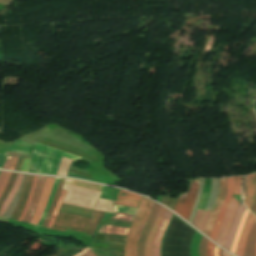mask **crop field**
<instances>
[{
	"mask_svg": "<svg viewBox=\"0 0 256 256\" xmlns=\"http://www.w3.org/2000/svg\"><path fill=\"white\" fill-rule=\"evenodd\" d=\"M62 156L73 160L80 158L48 146L37 144L27 172L55 175Z\"/></svg>",
	"mask_w": 256,
	"mask_h": 256,
	"instance_id": "crop-field-1",
	"label": "crop field"
},
{
	"mask_svg": "<svg viewBox=\"0 0 256 256\" xmlns=\"http://www.w3.org/2000/svg\"><path fill=\"white\" fill-rule=\"evenodd\" d=\"M153 203L154 202L144 197L142 198L141 204L136 213L135 219L131 225V228L126 240L124 256H137L139 236L149 216Z\"/></svg>",
	"mask_w": 256,
	"mask_h": 256,
	"instance_id": "crop-field-2",
	"label": "crop field"
},
{
	"mask_svg": "<svg viewBox=\"0 0 256 256\" xmlns=\"http://www.w3.org/2000/svg\"><path fill=\"white\" fill-rule=\"evenodd\" d=\"M199 179L196 181H189L188 192L181 193L178 201L173 209L177 214L189 220L190 213L193 209V203L197 193Z\"/></svg>",
	"mask_w": 256,
	"mask_h": 256,
	"instance_id": "crop-field-3",
	"label": "crop field"
},
{
	"mask_svg": "<svg viewBox=\"0 0 256 256\" xmlns=\"http://www.w3.org/2000/svg\"><path fill=\"white\" fill-rule=\"evenodd\" d=\"M89 221L90 220L88 219L58 212V215L52 226V229L61 230V231H64L65 229H69V230L85 232L89 224Z\"/></svg>",
	"mask_w": 256,
	"mask_h": 256,
	"instance_id": "crop-field-4",
	"label": "crop field"
},
{
	"mask_svg": "<svg viewBox=\"0 0 256 256\" xmlns=\"http://www.w3.org/2000/svg\"><path fill=\"white\" fill-rule=\"evenodd\" d=\"M240 200L241 199H240L239 195H233V197H232V199L229 203V206H228V209H227V212H226V215H225L220 233H219V235H218V237L215 241L221 246H224V243L226 241V238H227V235H228V232H229L231 222H232V220H233V218L236 214V210H237V207H238V204H239Z\"/></svg>",
	"mask_w": 256,
	"mask_h": 256,
	"instance_id": "crop-field-5",
	"label": "crop field"
},
{
	"mask_svg": "<svg viewBox=\"0 0 256 256\" xmlns=\"http://www.w3.org/2000/svg\"><path fill=\"white\" fill-rule=\"evenodd\" d=\"M225 193H226V178H220L219 179V193L218 196L216 198V201L214 203V207H213V211L212 214L210 216L209 222L206 226V229L204 231L205 234H207L208 236H210L212 228L214 226L215 223V219L217 217V214L219 212L220 206L224 200L225 197Z\"/></svg>",
	"mask_w": 256,
	"mask_h": 256,
	"instance_id": "crop-field-6",
	"label": "crop field"
},
{
	"mask_svg": "<svg viewBox=\"0 0 256 256\" xmlns=\"http://www.w3.org/2000/svg\"><path fill=\"white\" fill-rule=\"evenodd\" d=\"M54 179L55 178L47 177L46 183H45L42 195H41V198L39 200V203H38V206H37V209H36V213H35L34 217L32 218V220L30 221L31 224L37 225V223L39 222L40 217H41V215H42V213H43V211L46 207V203H47V200L49 198L51 189L53 187Z\"/></svg>",
	"mask_w": 256,
	"mask_h": 256,
	"instance_id": "crop-field-7",
	"label": "crop field"
},
{
	"mask_svg": "<svg viewBox=\"0 0 256 256\" xmlns=\"http://www.w3.org/2000/svg\"><path fill=\"white\" fill-rule=\"evenodd\" d=\"M232 195H233V177H230V178H227V195H226V198L223 202V205L221 207V210L219 212V215H218L216 223H215V227H214V229L212 231V234L210 236V238L213 239L214 241H215V239L218 235L219 228H220L221 223L223 221L225 211L227 209L228 203H229Z\"/></svg>",
	"mask_w": 256,
	"mask_h": 256,
	"instance_id": "crop-field-8",
	"label": "crop field"
},
{
	"mask_svg": "<svg viewBox=\"0 0 256 256\" xmlns=\"http://www.w3.org/2000/svg\"><path fill=\"white\" fill-rule=\"evenodd\" d=\"M173 213H171L170 211H167L156 235H155V238L153 240V256H160V242H161V239H162V236L165 232V229L167 227V224L171 218Z\"/></svg>",
	"mask_w": 256,
	"mask_h": 256,
	"instance_id": "crop-field-9",
	"label": "crop field"
},
{
	"mask_svg": "<svg viewBox=\"0 0 256 256\" xmlns=\"http://www.w3.org/2000/svg\"><path fill=\"white\" fill-rule=\"evenodd\" d=\"M159 205L154 204L152 212L150 214L149 220L140 236L139 240V247H138V256H144V243L147 237V234L156 218L157 212H158Z\"/></svg>",
	"mask_w": 256,
	"mask_h": 256,
	"instance_id": "crop-field-10",
	"label": "crop field"
},
{
	"mask_svg": "<svg viewBox=\"0 0 256 256\" xmlns=\"http://www.w3.org/2000/svg\"><path fill=\"white\" fill-rule=\"evenodd\" d=\"M166 211L167 210L162 208V207L159 208L157 218H156V220L154 222V225H153V227H152V229H151V231H150V233L147 237V241H146V244H145V256H152L151 255L152 240L154 238V235H155V233H156V231H157V229H158Z\"/></svg>",
	"mask_w": 256,
	"mask_h": 256,
	"instance_id": "crop-field-11",
	"label": "crop field"
},
{
	"mask_svg": "<svg viewBox=\"0 0 256 256\" xmlns=\"http://www.w3.org/2000/svg\"><path fill=\"white\" fill-rule=\"evenodd\" d=\"M245 208L246 207L242 204V201H241V203H240V205L238 207V211H237L236 217H235V219H234V221H233V223L231 225L227 241H226L225 246H224V248H226L227 250H230V248H231V245H232V242L234 240V237H235V234H236V231H237V228H238L241 216H242Z\"/></svg>",
	"mask_w": 256,
	"mask_h": 256,
	"instance_id": "crop-field-12",
	"label": "crop field"
},
{
	"mask_svg": "<svg viewBox=\"0 0 256 256\" xmlns=\"http://www.w3.org/2000/svg\"><path fill=\"white\" fill-rule=\"evenodd\" d=\"M255 219L256 218L251 213H249L239 239V243L235 253L236 255L243 256L246 237Z\"/></svg>",
	"mask_w": 256,
	"mask_h": 256,
	"instance_id": "crop-field-13",
	"label": "crop field"
},
{
	"mask_svg": "<svg viewBox=\"0 0 256 256\" xmlns=\"http://www.w3.org/2000/svg\"><path fill=\"white\" fill-rule=\"evenodd\" d=\"M45 179H46V177H41V176L39 177V180H38V183H37V186H36V190H35V194H34V197H33L32 205L30 207V210H29L28 214L23 219V222L29 223L31 217L34 215L39 197L41 195V192H42V189H43V186H44V183H45Z\"/></svg>",
	"mask_w": 256,
	"mask_h": 256,
	"instance_id": "crop-field-14",
	"label": "crop field"
},
{
	"mask_svg": "<svg viewBox=\"0 0 256 256\" xmlns=\"http://www.w3.org/2000/svg\"><path fill=\"white\" fill-rule=\"evenodd\" d=\"M256 196V178L255 175L247 176V193L244 200L245 205L250 209Z\"/></svg>",
	"mask_w": 256,
	"mask_h": 256,
	"instance_id": "crop-field-15",
	"label": "crop field"
},
{
	"mask_svg": "<svg viewBox=\"0 0 256 256\" xmlns=\"http://www.w3.org/2000/svg\"><path fill=\"white\" fill-rule=\"evenodd\" d=\"M255 246H256V220L247 237L244 256H255Z\"/></svg>",
	"mask_w": 256,
	"mask_h": 256,
	"instance_id": "crop-field-16",
	"label": "crop field"
},
{
	"mask_svg": "<svg viewBox=\"0 0 256 256\" xmlns=\"http://www.w3.org/2000/svg\"><path fill=\"white\" fill-rule=\"evenodd\" d=\"M24 175H21V174H18L17 175V178H16V181H15V184H14V187L13 189L11 190L8 198L6 199V201L4 202V204L2 205L1 209H0V216H3L8 205L10 204L13 196L15 195L17 189L19 188L20 184H21V180L23 178Z\"/></svg>",
	"mask_w": 256,
	"mask_h": 256,
	"instance_id": "crop-field-17",
	"label": "crop field"
},
{
	"mask_svg": "<svg viewBox=\"0 0 256 256\" xmlns=\"http://www.w3.org/2000/svg\"><path fill=\"white\" fill-rule=\"evenodd\" d=\"M129 229L120 228V227H112L102 225L98 231V233H111V234H123L126 235Z\"/></svg>",
	"mask_w": 256,
	"mask_h": 256,
	"instance_id": "crop-field-18",
	"label": "crop field"
},
{
	"mask_svg": "<svg viewBox=\"0 0 256 256\" xmlns=\"http://www.w3.org/2000/svg\"><path fill=\"white\" fill-rule=\"evenodd\" d=\"M104 214L105 213H103V212H99V211L94 210V215H93L91 224H90L88 230L86 231L87 234L93 235L97 225L99 224V222L103 218Z\"/></svg>",
	"mask_w": 256,
	"mask_h": 256,
	"instance_id": "crop-field-19",
	"label": "crop field"
},
{
	"mask_svg": "<svg viewBox=\"0 0 256 256\" xmlns=\"http://www.w3.org/2000/svg\"><path fill=\"white\" fill-rule=\"evenodd\" d=\"M62 182H63V179L61 178L60 179V181H59V184H58V187H57V189H56V193H55V197H54V199H53V202H52V204H51V207H50V209H49V211H48V214H47V216H46V219H45V221H44V223H43V227H46V225H47V223H48V221H49V219H50V216H51V214H52V212H53V209H54V207H55V205H56V203H57V200H58V197H59V194H60V188H61V186H62Z\"/></svg>",
	"mask_w": 256,
	"mask_h": 256,
	"instance_id": "crop-field-20",
	"label": "crop field"
},
{
	"mask_svg": "<svg viewBox=\"0 0 256 256\" xmlns=\"http://www.w3.org/2000/svg\"><path fill=\"white\" fill-rule=\"evenodd\" d=\"M33 177L34 176H30L29 178V181H28V185H27V188L25 190V193H24V197H23V201H22V205L18 211V213L16 214V216L14 217L15 220H17V218L19 217V215L21 214L25 204H26V201H27V197H28V194H29V191H30V188H31V185H32V182H33Z\"/></svg>",
	"mask_w": 256,
	"mask_h": 256,
	"instance_id": "crop-field-21",
	"label": "crop field"
},
{
	"mask_svg": "<svg viewBox=\"0 0 256 256\" xmlns=\"http://www.w3.org/2000/svg\"><path fill=\"white\" fill-rule=\"evenodd\" d=\"M38 177H39V176H35V177H34L33 186H32V189H31V192H30V195H29V198H28L26 207H25V209L23 210V212H22V214H21V216H20V218H19L18 221H22V219L24 218V216H25L26 213L28 212V209H29L30 204H31V201H32V197H33V193H34V189H35V186H36Z\"/></svg>",
	"mask_w": 256,
	"mask_h": 256,
	"instance_id": "crop-field-22",
	"label": "crop field"
},
{
	"mask_svg": "<svg viewBox=\"0 0 256 256\" xmlns=\"http://www.w3.org/2000/svg\"><path fill=\"white\" fill-rule=\"evenodd\" d=\"M248 213H249V211L246 209V211H245V213H244V215H243V217H242V219H241V222H240V225H239V228H238V231H237V234H236V237H235L233 246H232V248H231V250H230V252H232V253H235V249H236V246H237L238 238H239V236H240L242 227H243V225H244V222H245V219H246Z\"/></svg>",
	"mask_w": 256,
	"mask_h": 256,
	"instance_id": "crop-field-23",
	"label": "crop field"
},
{
	"mask_svg": "<svg viewBox=\"0 0 256 256\" xmlns=\"http://www.w3.org/2000/svg\"><path fill=\"white\" fill-rule=\"evenodd\" d=\"M65 192H66V191H64V190L61 191V194H60L58 203H57V205H56V207H55V209H54L53 215H52V217H51V219H50V221H49V223H48V225H47L48 228H51V226H52V223H53L54 218H55V216H56V214H57V212H58V210H59V208H60V204H61V201H62L64 195H65Z\"/></svg>",
	"mask_w": 256,
	"mask_h": 256,
	"instance_id": "crop-field-24",
	"label": "crop field"
},
{
	"mask_svg": "<svg viewBox=\"0 0 256 256\" xmlns=\"http://www.w3.org/2000/svg\"><path fill=\"white\" fill-rule=\"evenodd\" d=\"M137 195V194H136ZM124 191H120L118 194V199H127V200H135V201H140L141 197L140 196H136Z\"/></svg>",
	"mask_w": 256,
	"mask_h": 256,
	"instance_id": "crop-field-25",
	"label": "crop field"
},
{
	"mask_svg": "<svg viewBox=\"0 0 256 256\" xmlns=\"http://www.w3.org/2000/svg\"><path fill=\"white\" fill-rule=\"evenodd\" d=\"M16 175H17V174H15V173L12 174V176H11V178H10L8 184H7V187H6V189H5V191H4L3 195H2V197H1V199H0V207H1V205H2V203H3V201H4V199H5V197H6L7 194L9 193V191H10V189H11V187H12V184H13L15 178H16Z\"/></svg>",
	"mask_w": 256,
	"mask_h": 256,
	"instance_id": "crop-field-26",
	"label": "crop field"
},
{
	"mask_svg": "<svg viewBox=\"0 0 256 256\" xmlns=\"http://www.w3.org/2000/svg\"><path fill=\"white\" fill-rule=\"evenodd\" d=\"M201 237L202 235H200L199 233H196L193 240V245H192V256H198V245Z\"/></svg>",
	"mask_w": 256,
	"mask_h": 256,
	"instance_id": "crop-field-27",
	"label": "crop field"
},
{
	"mask_svg": "<svg viewBox=\"0 0 256 256\" xmlns=\"http://www.w3.org/2000/svg\"><path fill=\"white\" fill-rule=\"evenodd\" d=\"M58 180H59V178H56L55 184H54V187H53L51 196H50V199H49V201H48V203H47V208H46V210H45V212H44V214H43V216H42V218H41V220H40V222H39V224H38L39 227L41 226V224H42V222H43V220H44V218H45V216H46V214H47V211H48V209H49V207H50V204H51V201H52V198H53V195H54L56 186H57V184H58Z\"/></svg>",
	"mask_w": 256,
	"mask_h": 256,
	"instance_id": "crop-field-28",
	"label": "crop field"
},
{
	"mask_svg": "<svg viewBox=\"0 0 256 256\" xmlns=\"http://www.w3.org/2000/svg\"><path fill=\"white\" fill-rule=\"evenodd\" d=\"M23 180H24V178H23ZM22 183H23V181H22ZM21 186H22V184H21ZM21 186H20V188H19V190H18V192H17L15 198H14L13 201L11 202V204H10V206H9V208H8V210H7V212H6V214H5V217H8V218H9L10 215L12 214V212H13V210H14V208H15V205H16V203H17L18 197H19V193H20Z\"/></svg>",
	"mask_w": 256,
	"mask_h": 256,
	"instance_id": "crop-field-29",
	"label": "crop field"
},
{
	"mask_svg": "<svg viewBox=\"0 0 256 256\" xmlns=\"http://www.w3.org/2000/svg\"><path fill=\"white\" fill-rule=\"evenodd\" d=\"M114 207H115V211H117V212L131 214V215H134L137 210L134 208H128V207H122V206H116V205H114Z\"/></svg>",
	"mask_w": 256,
	"mask_h": 256,
	"instance_id": "crop-field-30",
	"label": "crop field"
},
{
	"mask_svg": "<svg viewBox=\"0 0 256 256\" xmlns=\"http://www.w3.org/2000/svg\"><path fill=\"white\" fill-rule=\"evenodd\" d=\"M28 176L29 175H26L25 177V180H24V183H23V187H22V190H21V194H20V198H19V201H18V205L13 213V215L11 216V219H13L14 215L16 214V212L18 211L20 205H21V201H22V197H23V193H24V190H25V187L27 185V181H28Z\"/></svg>",
	"mask_w": 256,
	"mask_h": 256,
	"instance_id": "crop-field-31",
	"label": "crop field"
},
{
	"mask_svg": "<svg viewBox=\"0 0 256 256\" xmlns=\"http://www.w3.org/2000/svg\"><path fill=\"white\" fill-rule=\"evenodd\" d=\"M210 212H211V211H208V210H205V211H204V214H203L201 223H200V225H199V227H198V229H200L201 231H204V229H205V226H206L207 221H208V219H209Z\"/></svg>",
	"mask_w": 256,
	"mask_h": 256,
	"instance_id": "crop-field-32",
	"label": "crop field"
},
{
	"mask_svg": "<svg viewBox=\"0 0 256 256\" xmlns=\"http://www.w3.org/2000/svg\"><path fill=\"white\" fill-rule=\"evenodd\" d=\"M114 204H117V205H124V206H130V207H135V208H137L139 202L121 200V201H114Z\"/></svg>",
	"mask_w": 256,
	"mask_h": 256,
	"instance_id": "crop-field-33",
	"label": "crop field"
},
{
	"mask_svg": "<svg viewBox=\"0 0 256 256\" xmlns=\"http://www.w3.org/2000/svg\"><path fill=\"white\" fill-rule=\"evenodd\" d=\"M6 155L17 156V157H22V158H30L31 157V156H28V155H22V154L10 153V152H7ZM22 158L19 159V161H18V163H17V165H16L14 170H16V171L19 170L20 165H21V163L23 161Z\"/></svg>",
	"mask_w": 256,
	"mask_h": 256,
	"instance_id": "crop-field-34",
	"label": "crop field"
},
{
	"mask_svg": "<svg viewBox=\"0 0 256 256\" xmlns=\"http://www.w3.org/2000/svg\"><path fill=\"white\" fill-rule=\"evenodd\" d=\"M134 216L131 215H125V214H121V213H116L115 212V216L111 217L112 219H119V220H125V221H129L131 222Z\"/></svg>",
	"mask_w": 256,
	"mask_h": 256,
	"instance_id": "crop-field-35",
	"label": "crop field"
},
{
	"mask_svg": "<svg viewBox=\"0 0 256 256\" xmlns=\"http://www.w3.org/2000/svg\"><path fill=\"white\" fill-rule=\"evenodd\" d=\"M207 241H208L207 239L202 237L201 242H200V246H199V256H206L205 248H206Z\"/></svg>",
	"mask_w": 256,
	"mask_h": 256,
	"instance_id": "crop-field-36",
	"label": "crop field"
},
{
	"mask_svg": "<svg viewBox=\"0 0 256 256\" xmlns=\"http://www.w3.org/2000/svg\"><path fill=\"white\" fill-rule=\"evenodd\" d=\"M241 177H234V194H240Z\"/></svg>",
	"mask_w": 256,
	"mask_h": 256,
	"instance_id": "crop-field-37",
	"label": "crop field"
},
{
	"mask_svg": "<svg viewBox=\"0 0 256 256\" xmlns=\"http://www.w3.org/2000/svg\"><path fill=\"white\" fill-rule=\"evenodd\" d=\"M203 211L204 210H201V209L197 210V213H196V216H195V219H194V223H193L194 226L198 227V225L200 223V220H201V217H202V214H203Z\"/></svg>",
	"mask_w": 256,
	"mask_h": 256,
	"instance_id": "crop-field-38",
	"label": "crop field"
},
{
	"mask_svg": "<svg viewBox=\"0 0 256 256\" xmlns=\"http://www.w3.org/2000/svg\"><path fill=\"white\" fill-rule=\"evenodd\" d=\"M10 175H11V173H9V172L6 173V176H5L3 182H2V184L0 186V196L2 195V193H3V191H4L5 187H6V184H7L8 180H9V178H10Z\"/></svg>",
	"mask_w": 256,
	"mask_h": 256,
	"instance_id": "crop-field-39",
	"label": "crop field"
},
{
	"mask_svg": "<svg viewBox=\"0 0 256 256\" xmlns=\"http://www.w3.org/2000/svg\"><path fill=\"white\" fill-rule=\"evenodd\" d=\"M66 181L77 183V184H81V185H84V186H88V187H92V188H96V189H100L101 190V186H99V185H94V184L74 181V180H70V179H66Z\"/></svg>",
	"mask_w": 256,
	"mask_h": 256,
	"instance_id": "crop-field-40",
	"label": "crop field"
},
{
	"mask_svg": "<svg viewBox=\"0 0 256 256\" xmlns=\"http://www.w3.org/2000/svg\"><path fill=\"white\" fill-rule=\"evenodd\" d=\"M213 246H214V244H212L211 242L208 241L207 248H206L207 256H214L213 255Z\"/></svg>",
	"mask_w": 256,
	"mask_h": 256,
	"instance_id": "crop-field-41",
	"label": "crop field"
},
{
	"mask_svg": "<svg viewBox=\"0 0 256 256\" xmlns=\"http://www.w3.org/2000/svg\"><path fill=\"white\" fill-rule=\"evenodd\" d=\"M75 256H95L88 248H85L81 253Z\"/></svg>",
	"mask_w": 256,
	"mask_h": 256,
	"instance_id": "crop-field-42",
	"label": "crop field"
},
{
	"mask_svg": "<svg viewBox=\"0 0 256 256\" xmlns=\"http://www.w3.org/2000/svg\"><path fill=\"white\" fill-rule=\"evenodd\" d=\"M29 160H30V159H25V160H24V162H23V164H22V166H21V168H20L19 171H22V172H25V171H26V169H27V167H28Z\"/></svg>",
	"mask_w": 256,
	"mask_h": 256,
	"instance_id": "crop-field-43",
	"label": "crop field"
},
{
	"mask_svg": "<svg viewBox=\"0 0 256 256\" xmlns=\"http://www.w3.org/2000/svg\"><path fill=\"white\" fill-rule=\"evenodd\" d=\"M245 193H246V176L244 178V184H243V189H242L243 200H244V197H245Z\"/></svg>",
	"mask_w": 256,
	"mask_h": 256,
	"instance_id": "crop-field-44",
	"label": "crop field"
},
{
	"mask_svg": "<svg viewBox=\"0 0 256 256\" xmlns=\"http://www.w3.org/2000/svg\"><path fill=\"white\" fill-rule=\"evenodd\" d=\"M17 160H18V158H16V157H14V158H13V160H12V162H11V165H10L9 169H11V170H13V169H14L15 164H16V162H17Z\"/></svg>",
	"mask_w": 256,
	"mask_h": 256,
	"instance_id": "crop-field-45",
	"label": "crop field"
},
{
	"mask_svg": "<svg viewBox=\"0 0 256 256\" xmlns=\"http://www.w3.org/2000/svg\"><path fill=\"white\" fill-rule=\"evenodd\" d=\"M6 158H7V156H2V155H0V168H2V166H3V164H4L5 160H6Z\"/></svg>",
	"mask_w": 256,
	"mask_h": 256,
	"instance_id": "crop-field-46",
	"label": "crop field"
},
{
	"mask_svg": "<svg viewBox=\"0 0 256 256\" xmlns=\"http://www.w3.org/2000/svg\"><path fill=\"white\" fill-rule=\"evenodd\" d=\"M12 158H13V157H8V159H7L6 163L4 164L3 168H5V169L8 168V166H9V164H10Z\"/></svg>",
	"mask_w": 256,
	"mask_h": 256,
	"instance_id": "crop-field-47",
	"label": "crop field"
},
{
	"mask_svg": "<svg viewBox=\"0 0 256 256\" xmlns=\"http://www.w3.org/2000/svg\"><path fill=\"white\" fill-rule=\"evenodd\" d=\"M250 211L253 212L256 215V200H255V202H254V204H253V206H252Z\"/></svg>",
	"mask_w": 256,
	"mask_h": 256,
	"instance_id": "crop-field-48",
	"label": "crop field"
},
{
	"mask_svg": "<svg viewBox=\"0 0 256 256\" xmlns=\"http://www.w3.org/2000/svg\"><path fill=\"white\" fill-rule=\"evenodd\" d=\"M5 173L6 172H3V171L0 172V184H1V182H2V180L4 178V176H5Z\"/></svg>",
	"mask_w": 256,
	"mask_h": 256,
	"instance_id": "crop-field-49",
	"label": "crop field"
},
{
	"mask_svg": "<svg viewBox=\"0 0 256 256\" xmlns=\"http://www.w3.org/2000/svg\"><path fill=\"white\" fill-rule=\"evenodd\" d=\"M214 254H215V256H218V247H216V246L214 248Z\"/></svg>",
	"mask_w": 256,
	"mask_h": 256,
	"instance_id": "crop-field-50",
	"label": "crop field"
},
{
	"mask_svg": "<svg viewBox=\"0 0 256 256\" xmlns=\"http://www.w3.org/2000/svg\"><path fill=\"white\" fill-rule=\"evenodd\" d=\"M65 183H69V182L65 181ZM69 184H72V183H69ZM73 185H76V184H73ZM77 186H80V185H77ZM81 187H84V186H81ZM84 188L91 189V190H96V189H92V188H88V187H84ZM97 191H100V190H97Z\"/></svg>",
	"mask_w": 256,
	"mask_h": 256,
	"instance_id": "crop-field-51",
	"label": "crop field"
},
{
	"mask_svg": "<svg viewBox=\"0 0 256 256\" xmlns=\"http://www.w3.org/2000/svg\"><path fill=\"white\" fill-rule=\"evenodd\" d=\"M222 256H231V255H229V254L225 253L224 251H222Z\"/></svg>",
	"mask_w": 256,
	"mask_h": 256,
	"instance_id": "crop-field-52",
	"label": "crop field"
},
{
	"mask_svg": "<svg viewBox=\"0 0 256 256\" xmlns=\"http://www.w3.org/2000/svg\"><path fill=\"white\" fill-rule=\"evenodd\" d=\"M219 256H221V249H219Z\"/></svg>",
	"mask_w": 256,
	"mask_h": 256,
	"instance_id": "crop-field-53",
	"label": "crop field"
}]
</instances>
